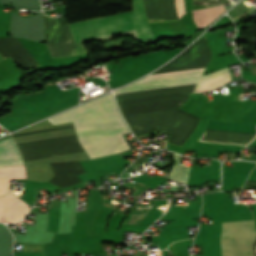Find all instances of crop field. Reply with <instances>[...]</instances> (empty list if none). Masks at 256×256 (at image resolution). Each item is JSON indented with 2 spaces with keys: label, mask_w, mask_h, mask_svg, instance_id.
<instances>
[{
  "label": "crop field",
  "mask_w": 256,
  "mask_h": 256,
  "mask_svg": "<svg viewBox=\"0 0 256 256\" xmlns=\"http://www.w3.org/2000/svg\"><path fill=\"white\" fill-rule=\"evenodd\" d=\"M176 12H177L178 18H180L183 14H185L183 0H176Z\"/></svg>",
  "instance_id": "crop-field-10"
},
{
  "label": "crop field",
  "mask_w": 256,
  "mask_h": 256,
  "mask_svg": "<svg viewBox=\"0 0 256 256\" xmlns=\"http://www.w3.org/2000/svg\"><path fill=\"white\" fill-rule=\"evenodd\" d=\"M180 157V155L174 154L176 165L169 178L186 184L191 166H180Z\"/></svg>",
  "instance_id": "crop-field-9"
},
{
  "label": "crop field",
  "mask_w": 256,
  "mask_h": 256,
  "mask_svg": "<svg viewBox=\"0 0 256 256\" xmlns=\"http://www.w3.org/2000/svg\"><path fill=\"white\" fill-rule=\"evenodd\" d=\"M26 178L24 165L0 168V196L9 188V179Z\"/></svg>",
  "instance_id": "crop-field-7"
},
{
  "label": "crop field",
  "mask_w": 256,
  "mask_h": 256,
  "mask_svg": "<svg viewBox=\"0 0 256 256\" xmlns=\"http://www.w3.org/2000/svg\"><path fill=\"white\" fill-rule=\"evenodd\" d=\"M132 12L69 24L76 42L134 31L137 38L152 36L142 0H133Z\"/></svg>",
  "instance_id": "crop-field-3"
},
{
  "label": "crop field",
  "mask_w": 256,
  "mask_h": 256,
  "mask_svg": "<svg viewBox=\"0 0 256 256\" xmlns=\"http://www.w3.org/2000/svg\"><path fill=\"white\" fill-rule=\"evenodd\" d=\"M47 120L53 124L73 121L78 141L90 159L129 149L122 135L128 130L110 94Z\"/></svg>",
  "instance_id": "crop-field-1"
},
{
  "label": "crop field",
  "mask_w": 256,
  "mask_h": 256,
  "mask_svg": "<svg viewBox=\"0 0 256 256\" xmlns=\"http://www.w3.org/2000/svg\"><path fill=\"white\" fill-rule=\"evenodd\" d=\"M25 204L11 191L0 197V222L12 223L21 220L30 209Z\"/></svg>",
  "instance_id": "crop-field-5"
},
{
  "label": "crop field",
  "mask_w": 256,
  "mask_h": 256,
  "mask_svg": "<svg viewBox=\"0 0 256 256\" xmlns=\"http://www.w3.org/2000/svg\"><path fill=\"white\" fill-rule=\"evenodd\" d=\"M24 164L12 138L0 141V167Z\"/></svg>",
  "instance_id": "crop-field-6"
},
{
  "label": "crop field",
  "mask_w": 256,
  "mask_h": 256,
  "mask_svg": "<svg viewBox=\"0 0 256 256\" xmlns=\"http://www.w3.org/2000/svg\"><path fill=\"white\" fill-rule=\"evenodd\" d=\"M256 231L253 220L222 223V255L254 256Z\"/></svg>",
  "instance_id": "crop-field-4"
},
{
  "label": "crop field",
  "mask_w": 256,
  "mask_h": 256,
  "mask_svg": "<svg viewBox=\"0 0 256 256\" xmlns=\"http://www.w3.org/2000/svg\"><path fill=\"white\" fill-rule=\"evenodd\" d=\"M203 71H204V69L173 72V73L154 74V75L147 76L135 83L197 77V76H201V73ZM199 78L200 77L179 79V80H170V81H161V82H152V83H143V84H134L133 83L134 85H128V86H125L118 90H115L114 94L117 95V94H121V93L193 84V83H197ZM230 81H232L231 74H229L228 68L226 67L220 71H217V72H214V73H211L208 75H202V77L198 81L195 89H194V87H192V88L128 95V96L117 97L115 99H116V101H119V100H124V99H128V98H134V97H142V96H150V95H158V94H166V93H174V92L191 94L193 89H194L193 93L206 92V91H211L215 88H218Z\"/></svg>",
  "instance_id": "crop-field-2"
},
{
  "label": "crop field",
  "mask_w": 256,
  "mask_h": 256,
  "mask_svg": "<svg viewBox=\"0 0 256 256\" xmlns=\"http://www.w3.org/2000/svg\"><path fill=\"white\" fill-rule=\"evenodd\" d=\"M225 9L223 5L193 11L194 21L198 29L211 23Z\"/></svg>",
  "instance_id": "crop-field-8"
}]
</instances>
